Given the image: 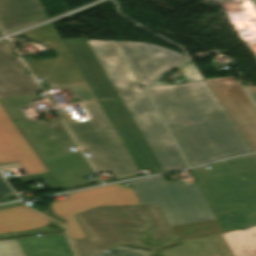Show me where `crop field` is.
<instances>
[{"mask_svg":"<svg viewBox=\"0 0 256 256\" xmlns=\"http://www.w3.org/2000/svg\"><path fill=\"white\" fill-rule=\"evenodd\" d=\"M147 90L190 166L252 151L205 80Z\"/></svg>","mask_w":256,"mask_h":256,"instance_id":"1","label":"crop field"},{"mask_svg":"<svg viewBox=\"0 0 256 256\" xmlns=\"http://www.w3.org/2000/svg\"><path fill=\"white\" fill-rule=\"evenodd\" d=\"M190 172L223 232L256 226V156H242Z\"/></svg>","mask_w":256,"mask_h":256,"instance_id":"2","label":"crop field"},{"mask_svg":"<svg viewBox=\"0 0 256 256\" xmlns=\"http://www.w3.org/2000/svg\"><path fill=\"white\" fill-rule=\"evenodd\" d=\"M86 42L164 171L186 167L179 153L172 150L173 142L144 90H137L136 86L141 84L117 41L86 40Z\"/></svg>","mask_w":256,"mask_h":256,"instance_id":"3","label":"crop field"},{"mask_svg":"<svg viewBox=\"0 0 256 256\" xmlns=\"http://www.w3.org/2000/svg\"><path fill=\"white\" fill-rule=\"evenodd\" d=\"M75 217L88 238L70 240L77 256L93 254L119 241L138 243L136 229L145 230L144 236L149 244L173 237L158 204L98 206Z\"/></svg>","mask_w":256,"mask_h":256,"instance_id":"4","label":"crop field"},{"mask_svg":"<svg viewBox=\"0 0 256 256\" xmlns=\"http://www.w3.org/2000/svg\"><path fill=\"white\" fill-rule=\"evenodd\" d=\"M69 88L74 97L80 98L88 118L79 119L75 111L60 114L96 171L109 170L115 180L133 176L137 168L92 94L87 83L53 88Z\"/></svg>","mask_w":256,"mask_h":256,"instance_id":"5","label":"crop field"},{"mask_svg":"<svg viewBox=\"0 0 256 256\" xmlns=\"http://www.w3.org/2000/svg\"><path fill=\"white\" fill-rule=\"evenodd\" d=\"M130 184L142 205L159 204L179 240L222 232L197 184L166 183L162 175Z\"/></svg>","mask_w":256,"mask_h":256,"instance_id":"6","label":"crop field"},{"mask_svg":"<svg viewBox=\"0 0 256 256\" xmlns=\"http://www.w3.org/2000/svg\"><path fill=\"white\" fill-rule=\"evenodd\" d=\"M92 92L99 101L138 170L162 172L143 136L128 114L103 69L83 38L62 40Z\"/></svg>","mask_w":256,"mask_h":256,"instance_id":"7","label":"crop field"},{"mask_svg":"<svg viewBox=\"0 0 256 256\" xmlns=\"http://www.w3.org/2000/svg\"><path fill=\"white\" fill-rule=\"evenodd\" d=\"M69 199L51 204L56 215L66 218L69 238H86L74 214L98 205H140L132 188L120 189L118 184L68 194Z\"/></svg>","mask_w":256,"mask_h":256,"instance_id":"8","label":"crop field"},{"mask_svg":"<svg viewBox=\"0 0 256 256\" xmlns=\"http://www.w3.org/2000/svg\"><path fill=\"white\" fill-rule=\"evenodd\" d=\"M25 35L36 42L46 41L59 57L25 61L35 78L44 77L49 87L85 82L51 23L25 32Z\"/></svg>","mask_w":256,"mask_h":256,"instance_id":"9","label":"crop field"},{"mask_svg":"<svg viewBox=\"0 0 256 256\" xmlns=\"http://www.w3.org/2000/svg\"><path fill=\"white\" fill-rule=\"evenodd\" d=\"M253 151H256V107L234 76L205 79Z\"/></svg>","mask_w":256,"mask_h":256,"instance_id":"10","label":"crop field"},{"mask_svg":"<svg viewBox=\"0 0 256 256\" xmlns=\"http://www.w3.org/2000/svg\"><path fill=\"white\" fill-rule=\"evenodd\" d=\"M142 86L185 60V56L152 44L118 41Z\"/></svg>","mask_w":256,"mask_h":256,"instance_id":"11","label":"crop field"},{"mask_svg":"<svg viewBox=\"0 0 256 256\" xmlns=\"http://www.w3.org/2000/svg\"><path fill=\"white\" fill-rule=\"evenodd\" d=\"M15 123L41 159L70 152L68 147L75 146L60 120L46 123L26 118Z\"/></svg>","mask_w":256,"mask_h":256,"instance_id":"12","label":"crop field"},{"mask_svg":"<svg viewBox=\"0 0 256 256\" xmlns=\"http://www.w3.org/2000/svg\"><path fill=\"white\" fill-rule=\"evenodd\" d=\"M18 161L27 175L47 172L0 104V164Z\"/></svg>","mask_w":256,"mask_h":256,"instance_id":"13","label":"crop field"},{"mask_svg":"<svg viewBox=\"0 0 256 256\" xmlns=\"http://www.w3.org/2000/svg\"><path fill=\"white\" fill-rule=\"evenodd\" d=\"M43 162L62 188L86 185L88 183L83 176L93 173L79 152L50 157L43 159Z\"/></svg>","mask_w":256,"mask_h":256,"instance_id":"14","label":"crop field"},{"mask_svg":"<svg viewBox=\"0 0 256 256\" xmlns=\"http://www.w3.org/2000/svg\"><path fill=\"white\" fill-rule=\"evenodd\" d=\"M46 18L38 0H0V26L5 34Z\"/></svg>","mask_w":256,"mask_h":256,"instance_id":"15","label":"crop field"},{"mask_svg":"<svg viewBox=\"0 0 256 256\" xmlns=\"http://www.w3.org/2000/svg\"><path fill=\"white\" fill-rule=\"evenodd\" d=\"M7 42H0V95L36 90L38 87L20 59L6 49Z\"/></svg>","mask_w":256,"mask_h":256,"instance_id":"16","label":"crop field"},{"mask_svg":"<svg viewBox=\"0 0 256 256\" xmlns=\"http://www.w3.org/2000/svg\"><path fill=\"white\" fill-rule=\"evenodd\" d=\"M17 240L27 256H74L65 233L25 237Z\"/></svg>","mask_w":256,"mask_h":256,"instance_id":"17","label":"crop field"},{"mask_svg":"<svg viewBox=\"0 0 256 256\" xmlns=\"http://www.w3.org/2000/svg\"><path fill=\"white\" fill-rule=\"evenodd\" d=\"M163 252L170 256H232L221 234L186 241Z\"/></svg>","mask_w":256,"mask_h":256,"instance_id":"18","label":"crop field"},{"mask_svg":"<svg viewBox=\"0 0 256 256\" xmlns=\"http://www.w3.org/2000/svg\"><path fill=\"white\" fill-rule=\"evenodd\" d=\"M50 220L24 205L0 210V234L41 227Z\"/></svg>","mask_w":256,"mask_h":256,"instance_id":"19","label":"crop field"},{"mask_svg":"<svg viewBox=\"0 0 256 256\" xmlns=\"http://www.w3.org/2000/svg\"><path fill=\"white\" fill-rule=\"evenodd\" d=\"M223 234L233 256H256V227Z\"/></svg>","mask_w":256,"mask_h":256,"instance_id":"20","label":"crop field"},{"mask_svg":"<svg viewBox=\"0 0 256 256\" xmlns=\"http://www.w3.org/2000/svg\"><path fill=\"white\" fill-rule=\"evenodd\" d=\"M109 253H99L93 256H148V251L132 249L125 246H115L108 249Z\"/></svg>","mask_w":256,"mask_h":256,"instance_id":"21","label":"crop field"},{"mask_svg":"<svg viewBox=\"0 0 256 256\" xmlns=\"http://www.w3.org/2000/svg\"><path fill=\"white\" fill-rule=\"evenodd\" d=\"M0 256H25V254L16 240H1Z\"/></svg>","mask_w":256,"mask_h":256,"instance_id":"22","label":"crop field"},{"mask_svg":"<svg viewBox=\"0 0 256 256\" xmlns=\"http://www.w3.org/2000/svg\"><path fill=\"white\" fill-rule=\"evenodd\" d=\"M179 68L183 73L184 77L186 78L187 82L202 80L201 75L197 71L191 59L179 66Z\"/></svg>","mask_w":256,"mask_h":256,"instance_id":"23","label":"crop field"},{"mask_svg":"<svg viewBox=\"0 0 256 256\" xmlns=\"http://www.w3.org/2000/svg\"><path fill=\"white\" fill-rule=\"evenodd\" d=\"M10 191L9 187L5 185L2 177L0 176V193ZM7 200L0 194V203L6 202Z\"/></svg>","mask_w":256,"mask_h":256,"instance_id":"24","label":"crop field"},{"mask_svg":"<svg viewBox=\"0 0 256 256\" xmlns=\"http://www.w3.org/2000/svg\"><path fill=\"white\" fill-rule=\"evenodd\" d=\"M254 101L256 102V87H246Z\"/></svg>","mask_w":256,"mask_h":256,"instance_id":"25","label":"crop field"},{"mask_svg":"<svg viewBox=\"0 0 256 256\" xmlns=\"http://www.w3.org/2000/svg\"><path fill=\"white\" fill-rule=\"evenodd\" d=\"M17 205H21V203H20V202H16V203H11V204L2 205V206H0V209L12 207V206H17Z\"/></svg>","mask_w":256,"mask_h":256,"instance_id":"26","label":"crop field"},{"mask_svg":"<svg viewBox=\"0 0 256 256\" xmlns=\"http://www.w3.org/2000/svg\"><path fill=\"white\" fill-rule=\"evenodd\" d=\"M170 83H164L163 81H157L150 86L169 85Z\"/></svg>","mask_w":256,"mask_h":256,"instance_id":"27","label":"crop field"},{"mask_svg":"<svg viewBox=\"0 0 256 256\" xmlns=\"http://www.w3.org/2000/svg\"><path fill=\"white\" fill-rule=\"evenodd\" d=\"M0 35H2L1 31H0Z\"/></svg>","mask_w":256,"mask_h":256,"instance_id":"28","label":"crop field"}]
</instances>
